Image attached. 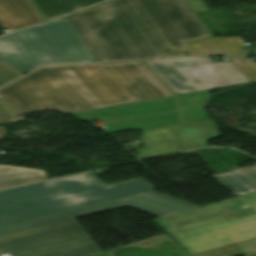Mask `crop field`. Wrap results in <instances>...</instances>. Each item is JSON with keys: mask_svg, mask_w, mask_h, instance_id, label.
<instances>
[{"mask_svg": "<svg viewBox=\"0 0 256 256\" xmlns=\"http://www.w3.org/2000/svg\"><path fill=\"white\" fill-rule=\"evenodd\" d=\"M68 19L97 61L189 56L180 41L211 36L187 0H111Z\"/></svg>", "mask_w": 256, "mask_h": 256, "instance_id": "1", "label": "crop field"}, {"mask_svg": "<svg viewBox=\"0 0 256 256\" xmlns=\"http://www.w3.org/2000/svg\"><path fill=\"white\" fill-rule=\"evenodd\" d=\"M174 95L143 62L43 67L0 89L16 116L64 113Z\"/></svg>", "mask_w": 256, "mask_h": 256, "instance_id": "2", "label": "crop field"}, {"mask_svg": "<svg viewBox=\"0 0 256 256\" xmlns=\"http://www.w3.org/2000/svg\"><path fill=\"white\" fill-rule=\"evenodd\" d=\"M129 206L164 217L197 206L154 191L0 227V255L86 256L100 252L74 218Z\"/></svg>", "mask_w": 256, "mask_h": 256, "instance_id": "3", "label": "crop field"}, {"mask_svg": "<svg viewBox=\"0 0 256 256\" xmlns=\"http://www.w3.org/2000/svg\"><path fill=\"white\" fill-rule=\"evenodd\" d=\"M146 182L105 186L89 172L0 191V226L153 190Z\"/></svg>", "mask_w": 256, "mask_h": 256, "instance_id": "4", "label": "crop field"}, {"mask_svg": "<svg viewBox=\"0 0 256 256\" xmlns=\"http://www.w3.org/2000/svg\"><path fill=\"white\" fill-rule=\"evenodd\" d=\"M0 60L24 74L46 64L94 62L65 17L0 37Z\"/></svg>", "mask_w": 256, "mask_h": 256, "instance_id": "5", "label": "crop field"}, {"mask_svg": "<svg viewBox=\"0 0 256 256\" xmlns=\"http://www.w3.org/2000/svg\"><path fill=\"white\" fill-rule=\"evenodd\" d=\"M146 62L176 94L249 82L232 62L214 63L208 57Z\"/></svg>", "mask_w": 256, "mask_h": 256, "instance_id": "6", "label": "crop field"}, {"mask_svg": "<svg viewBox=\"0 0 256 256\" xmlns=\"http://www.w3.org/2000/svg\"><path fill=\"white\" fill-rule=\"evenodd\" d=\"M178 109L175 96L141 101L117 106H111L102 109L89 110L83 112L71 113L81 121L101 119L102 122L176 110Z\"/></svg>", "mask_w": 256, "mask_h": 256, "instance_id": "7", "label": "crop field"}, {"mask_svg": "<svg viewBox=\"0 0 256 256\" xmlns=\"http://www.w3.org/2000/svg\"><path fill=\"white\" fill-rule=\"evenodd\" d=\"M43 21L30 0H0V27L3 29L14 30Z\"/></svg>", "mask_w": 256, "mask_h": 256, "instance_id": "8", "label": "crop field"}, {"mask_svg": "<svg viewBox=\"0 0 256 256\" xmlns=\"http://www.w3.org/2000/svg\"><path fill=\"white\" fill-rule=\"evenodd\" d=\"M183 150L206 146V141L221 134L212 119L170 127Z\"/></svg>", "mask_w": 256, "mask_h": 256, "instance_id": "9", "label": "crop field"}, {"mask_svg": "<svg viewBox=\"0 0 256 256\" xmlns=\"http://www.w3.org/2000/svg\"><path fill=\"white\" fill-rule=\"evenodd\" d=\"M182 44L188 50L190 56L202 54H225L226 56L248 54L246 50L242 49L245 45L241 36L186 40L182 41Z\"/></svg>", "mask_w": 256, "mask_h": 256, "instance_id": "10", "label": "crop field"}, {"mask_svg": "<svg viewBox=\"0 0 256 256\" xmlns=\"http://www.w3.org/2000/svg\"><path fill=\"white\" fill-rule=\"evenodd\" d=\"M143 134L140 142L148 148L136 150L138 159L182 150L169 127L146 130Z\"/></svg>", "mask_w": 256, "mask_h": 256, "instance_id": "11", "label": "crop field"}, {"mask_svg": "<svg viewBox=\"0 0 256 256\" xmlns=\"http://www.w3.org/2000/svg\"><path fill=\"white\" fill-rule=\"evenodd\" d=\"M181 123L179 111L118 121L104 124L103 128L107 133L137 129L145 130L163 126H171Z\"/></svg>", "mask_w": 256, "mask_h": 256, "instance_id": "12", "label": "crop field"}, {"mask_svg": "<svg viewBox=\"0 0 256 256\" xmlns=\"http://www.w3.org/2000/svg\"><path fill=\"white\" fill-rule=\"evenodd\" d=\"M235 196L256 190V165L213 175Z\"/></svg>", "mask_w": 256, "mask_h": 256, "instance_id": "13", "label": "crop field"}, {"mask_svg": "<svg viewBox=\"0 0 256 256\" xmlns=\"http://www.w3.org/2000/svg\"><path fill=\"white\" fill-rule=\"evenodd\" d=\"M45 179L44 171L0 165V189Z\"/></svg>", "mask_w": 256, "mask_h": 256, "instance_id": "14", "label": "crop field"}, {"mask_svg": "<svg viewBox=\"0 0 256 256\" xmlns=\"http://www.w3.org/2000/svg\"><path fill=\"white\" fill-rule=\"evenodd\" d=\"M47 20L104 0H34Z\"/></svg>", "mask_w": 256, "mask_h": 256, "instance_id": "15", "label": "crop field"}, {"mask_svg": "<svg viewBox=\"0 0 256 256\" xmlns=\"http://www.w3.org/2000/svg\"><path fill=\"white\" fill-rule=\"evenodd\" d=\"M209 96V91H198V92H192V93H186V94H180L178 95L179 103L181 109L198 106V105H204L205 101L207 100Z\"/></svg>", "mask_w": 256, "mask_h": 256, "instance_id": "16", "label": "crop field"}, {"mask_svg": "<svg viewBox=\"0 0 256 256\" xmlns=\"http://www.w3.org/2000/svg\"><path fill=\"white\" fill-rule=\"evenodd\" d=\"M249 58V56H243L229 59L250 82H253L256 81V63L250 62Z\"/></svg>", "mask_w": 256, "mask_h": 256, "instance_id": "17", "label": "crop field"}, {"mask_svg": "<svg viewBox=\"0 0 256 256\" xmlns=\"http://www.w3.org/2000/svg\"><path fill=\"white\" fill-rule=\"evenodd\" d=\"M24 74L18 72L17 70L11 68L10 66L4 64L0 61V86L22 76Z\"/></svg>", "mask_w": 256, "mask_h": 256, "instance_id": "18", "label": "crop field"}, {"mask_svg": "<svg viewBox=\"0 0 256 256\" xmlns=\"http://www.w3.org/2000/svg\"><path fill=\"white\" fill-rule=\"evenodd\" d=\"M181 113L184 123L207 118L203 107L184 110Z\"/></svg>", "mask_w": 256, "mask_h": 256, "instance_id": "19", "label": "crop field"}, {"mask_svg": "<svg viewBox=\"0 0 256 256\" xmlns=\"http://www.w3.org/2000/svg\"><path fill=\"white\" fill-rule=\"evenodd\" d=\"M13 114L0 102V124L17 122Z\"/></svg>", "mask_w": 256, "mask_h": 256, "instance_id": "20", "label": "crop field"}, {"mask_svg": "<svg viewBox=\"0 0 256 256\" xmlns=\"http://www.w3.org/2000/svg\"><path fill=\"white\" fill-rule=\"evenodd\" d=\"M189 1L193 5V7L196 9L197 12L207 10V8L205 7V5L201 0H189Z\"/></svg>", "mask_w": 256, "mask_h": 256, "instance_id": "21", "label": "crop field"}, {"mask_svg": "<svg viewBox=\"0 0 256 256\" xmlns=\"http://www.w3.org/2000/svg\"><path fill=\"white\" fill-rule=\"evenodd\" d=\"M5 136V131L2 126H0V139Z\"/></svg>", "mask_w": 256, "mask_h": 256, "instance_id": "22", "label": "crop field"}, {"mask_svg": "<svg viewBox=\"0 0 256 256\" xmlns=\"http://www.w3.org/2000/svg\"><path fill=\"white\" fill-rule=\"evenodd\" d=\"M253 256H256V255H253Z\"/></svg>", "mask_w": 256, "mask_h": 256, "instance_id": "23", "label": "crop field"}]
</instances>
